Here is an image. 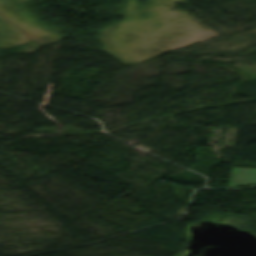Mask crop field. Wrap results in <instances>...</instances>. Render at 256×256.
<instances>
[{
    "label": "crop field",
    "instance_id": "crop-field-1",
    "mask_svg": "<svg viewBox=\"0 0 256 256\" xmlns=\"http://www.w3.org/2000/svg\"><path fill=\"white\" fill-rule=\"evenodd\" d=\"M256 184V168L233 167L229 186H247Z\"/></svg>",
    "mask_w": 256,
    "mask_h": 256
}]
</instances>
